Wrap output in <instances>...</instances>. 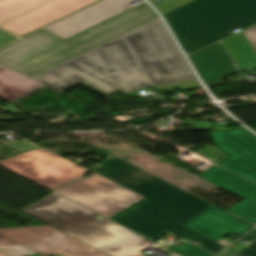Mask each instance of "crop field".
Instances as JSON below:
<instances>
[{
    "mask_svg": "<svg viewBox=\"0 0 256 256\" xmlns=\"http://www.w3.org/2000/svg\"><path fill=\"white\" fill-rule=\"evenodd\" d=\"M166 30L158 17L31 79L59 92L81 83L105 96L200 87Z\"/></svg>",
    "mask_w": 256,
    "mask_h": 256,
    "instance_id": "1",
    "label": "crop field"
},
{
    "mask_svg": "<svg viewBox=\"0 0 256 256\" xmlns=\"http://www.w3.org/2000/svg\"><path fill=\"white\" fill-rule=\"evenodd\" d=\"M101 164V168L89 169L146 197L108 219L152 241L186 225L213 206L118 157Z\"/></svg>",
    "mask_w": 256,
    "mask_h": 256,
    "instance_id": "2",
    "label": "crop field"
},
{
    "mask_svg": "<svg viewBox=\"0 0 256 256\" xmlns=\"http://www.w3.org/2000/svg\"><path fill=\"white\" fill-rule=\"evenodd\" d=\"M154 17L142 3L67 39L40 30L0 49V64L31 78Z\"/></svg>",
    "mask_w": 256,
    "mask_h": 256,
    "instance_id": "3",
    "label": "crop field"
},
{
    "mask_svg": "<svg viewBox=\"0 0 256 256\" xmlns=\"http://www.w3.org/2000/svg\"><path fill=\"white\" fill-rule=\"evenodd\" d=\"M21 212L112 256H143L139 251L150 246L142 242L145 238L107 219L100 221L94 218L97 214L54 193Z\"/></svg>",
    "mask_w": 256,
    "mask_h": 256,
    "instance_id": "4",
    "label": "crop field"
},
{
    "mask_svg": "<svg viewBox=\"0 0 256 256\" xmlns=\"http://www.w3.org/2000/svg\"><path fill=\"white\" fill-rule=\"evenodd\" d=\"M79 179L56 193L108 218L144 197L95 173Z\"/></svg>",
    "mask_w": 256,
    "mask_h": 256,
    "instance_id": "5",
    "label": "crop field"
},
{
    "mask_svg": "<svg viewBox=\"0 0 256 256\" xmlns=\"http://www.w3.org/2000/svg\"><path fill=\"white\" fill-rule=\"evenodd\" d=\"M0 165L51 190L90 172L44 148L0 161Z\"/></svg>",
    "mask_w": 256,
    "mask_h": 256,
    "instance_id": "6",
    "label": "crop field"
},
{
    "mask_svg": "<svg viewBox=\"0 0 256 256\" xmlns=\"http://www.w3.org/2000/svg\"><path fill=\"white\" fill-rule=\"evenodd\" d=\"M0 233L42 256H110L50 226L0 228Z\"/></svg>",
    "mask_w": 256,
    "mask_h": 256,
    "instance_id": "7",
    "label": "crop field"
},
{
    "mask_svg": "<svg viewBox=\"0 0 256 256\" xmlns=\"http://www.w3.org/2000/svg\"><path fill=\"white\" fill-rule=\"evenodd\" d=\"M164 16L187 55L231 35L189 3Z\"/></svg>",
    "mask_w": 256,
    "mask_h": 256,
    "instance_id": "8",
    "label": "crop field"
},
{
    "mask_svg": "<svg viewBox=\"0 0 256 256\" xmlns=\"http://www.w3.org/2000/svg\"><path fill=\"white\" fill-rule=\"evenodd\" d=\"M211 133L215 145L230 157L218 165L256 183V136L245 129Z\"/></svg>",
    "mask_w": 256,
    "mask_h": 256,
    "instance_id": "9",
    "label": "crop field"
},
{
    "mask_svg": "<svg viewBox=\"0 0 256 256\" xmlns=\"http://www.w3.org/2000/svg\"><path fill=\"white\" fill-rule=\"evenodd\" d=\"M97 1L99 0H54L1 25L0 28L21 37Z\"/></svg>",
    "mask_w": 256,
    "mask_h": 256,
    "instance_id": "10",
    "label": "crop field"
},
{
    "mask_svg": "<svg viewBox=\"0 0 256 256\" xmlns=\"http://www.w3.org/2000/svg\"><path fill=\"white\" fill-rule=\"evenodd\" d=\"M229 33L256 24V0H194L190 2Z\"/></svg>",
    "mask_w": 256,
    "mask_h": 256,
    "instance_id": "11",
    "label": "crop field"
},
{
    "mask_svg": "<svg viewBox=\"0 0 256 256\" xmlns=\"http://www.w3.org/2000/svg\"><path fill=\"white\" fill-rule=\"evenodd\" d=\"M199 177L245 199L227 210L249 222L256 224V185L241 179L216 166Z\"/></svg>",
    "mask_w": 256,
    "mask_h": 256,
    "instance_id": "12",
    "label": "crop field"
},
{
    "mask_svg": "<svg viewBox=\"0 0 256 256\" xmlns=\"http://www.w3.org/2000/svg\"><path fill=\"white\" fill-rule=\"evenodd\" d=\"M134 1L136 0H103L46 28L68 37L132 6L129 3Z\"/></svg>",
    "mask_w": 256,
    "mask_h": 256,
    "instance_id": "13",
    "label": "crop field"
},
{
    "mask_svg": "<svg viewBox=\"0 0 256 256\" xmlns=\"http://www.w3.org/2000/svg\"><path fill=\"white\" fill-rule=\"evenodd\" d=\"M253 226L214 206L185 227L217 242L232 233L241 236Z\"/></svg>",
    "mask_w": 256,
    "mask_h": 256,
    "instance_id": "14",
    "label": "crop field"
},
{
    "mask_svg": "<svg viewBox=\"0 0 256 256\" xmlns=\"http://www.w3.org/2000/svg\"><path fill=\"white\" fill-rule=\"evenodd\" d=\"M207 85L223 83L225 76L237 68L220 42L189 56Z\"/></svg>",
    "mask_w": 256,
    "mask_h": 256,
    "instance_id": "15",
    "label": "crop field"
},
{
    "mask_svg": "<svg viewBox=\"0 0 256 256\" xmlns=\"http://www.w3.org/2000/svg\"><path fill=\"white\" fill-rule=\"evenodd\" d=\"M222 42L240 70L256 69V26Z\"/></svg>",
    "mask_w": 256,
    "mask_h": 256,
    "instance_id": "16",
    "label": "crop field"
},
{
    "mask_svg": "<svg viewBox=\"0 0 256 256\" xmlns=\"http://www.w3.org/2000/svg\"><path fill=\"white\" fill-rule=\"evenodd\" d=\"M43 86L0 65V98L9 103Z\"/></svg>",
    "mask_w": 256,
    "mask_h": 256,
    "instance_id": "17",
    "label": "crop field"
},
{
    "mask_svg": "<svg viewBox=\"0 0 256 256\" xmlns=\"http://www.w3.org/2000/svg\"><path fill=\"white\" fill-rule=\"evenodd\" d=\"M51 0H0V24Z\"/></svg>",
    "mask_w": 256,
    "mask_h": 256,
    "instance_id": "18",
    "label": "crop field"
},
{
    "mask_svg": "<svg viewBox=\"0 0 256 256\" xmlns=\"http://www.w3.org/2000/svg\"><path fill=\"white\" fill-rule=\"evenodd\" d=\"M243 238L249 241L232 251L226 249L221 254L214 256H256V228Z\"/></svg>",
    "mask_w": 256,
    "mask_h": 256,
    "instance_id": "19",
    "label": "crop field"
},
{
    "mask_svg": "<svg viewBox=\"0 0 256 256\" xmlns=\"http://www.w3.org/2000/svg\"><path fill=\"white\" fill-rule=\"evenodd\" d=\"M173 233L182 237V238H184V239H186V240H188V241H190L192 239H195V240L201 242L202 243L201 247L210 251V252H212V253H218L222 249L225 248V247L217 244L216 242H214V241H212V240H210V239H208V238H206L202 235H199V234H197V233H195V232H193V231H191V230H189L185 227H183V228H181V229H179V230H177Z\"/></svg>",
    "mask_w": 256,
    "mask_h": 256,
    "instance_id": "20",
    "label": "crop field"
},
{
    "mask_svg": "<svg viewBox=\"0 0 256 256\" xmlns=\"http://www.w3.org/2000/svg\"><path fill=\"white\" fill-rule=\"evenodd\" d=\"M0 248L13 256H30L35 252L0 234Z\"/></svg>",
    "mask_w": 256,
    "mask_h": 256,
    "instance_id": "21",
    "label": "crop field"
},
{
    "mask_svg": "<svg viewBox=\"0 0 256 256\" xmlns=\"http://www.w3.org/2000/svg\"><path fill=\"white\" fill-rule=\"evenodd\" d=\"M183 256H212V254L188 243L178 249L174 248V247H167Z\"/></svg>",
    "mask_w": 256,
    "mask_h": 256,
    "instance_id": "22",
    "label": "crop field"
},
{
    "mask_svg": "<svg viewBox=\"0 0 256 256\" xmlns=\"http://www.w3.org/2000/svg\"><path fill=\"white\" fill-rule=\"evenodd\" d=\"M15 39H17V38L0 30V47L15 40Z\"/></svg>",
    "mask_w": 256,
    "mask_h": 256,
    "instance_id": "23",
    "label": "crop field"
},
{
    "mask_svg": "<svg viewBox=\"0 0 256 256\" xmlns=\"http://www.w3.org/2000/svg\"><path fill=\"white\" fill-rule=\"evenodd\" d=\"M0 256H8V255H6V254L2 253V254H0Z\"/></svg>",
    "mask_w": 256,
    "mask_h": 256,
    "instance_id": "24",
    "label": "crop field"
},
{
    "mask_svg": "<svg viewBox=\"0 0 256 256\" xmlns=\"http://www.w3.org/2000/svg\"><path fill=\"white\" fill-rule=\"evenodd\" d=\"M0 253H2V252L0 251Z\"/></svg>",
    "mask_w": 256,
    "mask_h": 256,
    "instance_id": "25",
    "label": "crop field"
}]
</instances>
